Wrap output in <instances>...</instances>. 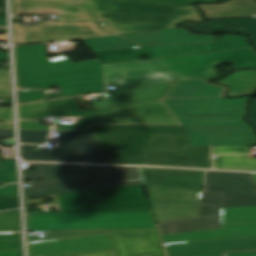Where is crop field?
I'll return each instance as SVG.
<instances>
[{
  "label": "crop field",
  "instance_id": "d9b57169",
  "mask_svg": "<svg viewBox=\"0 0 256 256\" xmlns=\"http://www.w3.org/2000/svg\"><path fill=\"white\" fill-rule=\"evenodd\" d=\"M205 81H176L164 98L223 97L222 93L226 90L225 87Z\"/></svg>",
  "mask_w": 256,
  "mask_h": 256
},
{
  "label": "crop field",
  "instance_id": "00972430",
  "mask_svg": "<svg viewBox=\"0 0 256 256\" xmlns=\"http://www.w3.org/2000/svg\"><path fill=\"white\" fill-rule=\"evenodd\" d=\"M133 1L165 4V5H173V6H187L195 2H210V1H221V0H133Z\"/></svg>",
  "mask_w": 256,
  "mask_h": 256
},
{
  "label": "crop field",
  "instance_id": "d8731c3e",
  "mask_svg": "<svg viewBox=\"0 0 256 256\" xmlns=\"http://www.w3.org/2000/svg\"><path fill=\"white\" fill-rule=\"evenodd\" d=\"M202 203L218 207L256 206L249 173L207 171Z\"/></svg>",
  "mask_w": 256,
  "mask_h": 256
},
{
  "label": "crop field",
  "instance_id": "bc2a9ffb",
  "mask_svg": "<svg viewBox=\"0 0 256 256\" xmlns=\"http://www.w3.org/2000/svg\"><path fill=\"white\" fill-rule=\"evenodd\" d=\"M83 40L92 51L138 46L119 36L87 38Z\"/></svg>",
  "mask_w": 256,
  "mask_h": 256
},
{
  "label": "crop field",
  "instance_id": "214f88e0",
  "mask_svg": "<svg viewBox=\"0 0 256 256\" xmlns=\"http://www.w3.org/2000/svg\"><path fill=\"white\" fill-rule=\"evenodd\" d=\"M213 162L215 168L256 170V159H249L248 155L217 156Z\"/></svg>",
  "mask_w": 256,
  "mask_h": 256
},
{
  "label": "crop field",
  "instance_id": "d1516ede",
  "mask_svg": "<svg viewBox=\"0 0 256 256\" xmlns=\"http://www.w3.org/2000/svg\"><path fill=\"white\" fill-rule=\"evenodd\" d=\"M120 36L133 40L139 45L214 42L212 36L190 34L188 30L182 28L121 34Z\"/></svg>",
  "mask_w": 256,
  "mask_h": 256
},
{
  "label": "crop field",
  "instance_id": "4177f3b9",
  "mask_svg": "<svg viewBox=\"0 0 256 256\" xmlns=\"http://www.w3.org/2000/svg\"><path fill=\"white\" fill-rule=\"evenodd\" d=\"M18 103L42 100L40 91H17Z\"/></svg>",
  "mask_w": 256,
  "mask_h": 256
},
{
  "label": "crop field",
  "instance_id": "34b2d1b8",
  "mask_svg": "<svg viewBox=\"0 0 256 256\" xmlns=\"http://www.w3.org/2000/svg\"><path fill=\"white\" fill-rule=\"evenodd\" d=\"M249 97L164 99L190 138L207 139L212 146L254 145L256 138L241 119Z\"/></svg>",
  "mask_w": 256,
  "mask_h": 256
},
{
  "label": "crop field",
  "instance_id": "dd49c442",
  "mask_svg": "<svg viewBox=\"0 0 256 256\" xmlns=\"http://www.w3.org/2000/svg\"><path fill=\"white\" fill-rule=\"evenodd\" d=\"M19 119L43 116H82L76 125H60L57 130H90L89 124H179L161 100L80 111L75 98L18 106Z\"/></svg>",
  "mask_w": 256,
  "mask_h": 256
},
{
  "label": "crop field",
  "instance_id": "ac0d7876",
  "mask_svg": "<svg viewBox=\"0 0 256 256\" xmlns=\"http://www.w3.org/2000/svg\"><path fill=\"white\" fill-rule=\"evenodd\" d=\"M107 163L212 168L210 147H187L179 125H90Z\"/></svg>",
  "mask_w": 256,
  "mask_h": 256
},
{
  "label": "crop field",
  "instance_id": "ae1a2a85",
  "mask_svg": "<svg viewBox=\"0 0 256 256\" xmlns=\"http://www.w3.org/2000/svg\"><path fill=\"white\" fill-rule=\"evenodd\" d=\"M70 256H117L116 250H105V251H97V252H88V253H81V254H73Z\"/></svg>",
  "mask_w": 256,
  "mask_h": 256
},
{
  "label": "crop field",
  "instance_id": "1d83c4d3",
  "mask_svg": "<svg viewBox=\"0 0 256 256\" xmlns=\"http://www.w3.org/2000/svg\"><path fill=\"white\" fill-rule=\"evenodd\" d=\"M0 138H13V131L0 130Z\"/></svg>",
  "mask_w": 256,
  "mask_h": 256
},
{
  "label": "crop field",
  "instance_id": "750c4746",
  "mask_svg": "<svg viewBox=\"0 0 256 256\" xmlns=\"http://www.w3.org/2000/svg\"><path fill=\"white\" fill-rule=\"evenodd\" d=\"M251 112L247 115V119L256 127V99L251 102Z\"/></svg>",
  "mask_w": 256,
  "mask_h": 256
},
{
  "label": "crop field",
  "instance_id": "dafd665d",
  "mask_svg": "<svg viewBox=\"0 0 256 256\" xmlns=\"http://www.w3.org/2000/svg\"><path fill=\"white\" fill-rule=\"evenodd\" d=\"M49 131H20V143L45 142Z\"/></svg>",
  "mask_w": 256,
  "mask_h": 256
},
{
  "label": "crop field",
  "instance_id": "3316defc",
  "mask_svg": "<svg viewBox=\"0 0 256 256\" xmlns=\"http://www.w3.org/2000/svg\"><path fill=\"white\" fill-rule=\"evenodd\" d=\"M146 187L156 222L199 217L201 191Z\"/></svg>",
  "mask_w": 256,
  "mask_h": 256
},
{
  "label": "crop field",
  "instance_id": "5142ce71",
  "mask_svg": "<svg viewBox=\"0 0 256 256\" xmlns=\"http://www.w3.org/2000/svg\"><path fill=\"white\" fill-rule=\"evenodd\" d=\"M182 26L191 27L198 33H244L249 35L253 44L256 45V18L209 21L206 24L185 23ZM237 27H241V29H237Z\"/></svg>",
  "mask_w": 256,
  "mask_h": 256
},
{
  "label": "crop field",
  "instance_id": "eef30255",
  "mask_svg": "<svg viewBox=\"0 0 256 256\" xmlns=\"http://www.w3.org/2000/svg\"><path fill=\"white\" fill-rule=\"evenodd\" d=\"M18 207V197H0V210Z\"/></svg>",
  "mask_w": 256,
  "mask_h": 256
},
{
  "label": "crop field",
  "instance_id": "cbeb9de0",
  "mask_svg": "<svg viewBox=\"0 0 256 256\" xmlns=\"http://www.w3.org/2000/svg\"><path fill=\"white\" fill-rule=\"evenodd\" d=\"M220 208L203 205L200 218L156 224L159 235L220 228Z\"/></svg>",
  "mask_w": 256,
  "mask_h": 256
},
{
  "label": "crop field",
  "instance_id": "a9b5d70f",
  "mask_svg": "<svg viewBox=\"0 0 256 256\" xmlns=\"http://www.w3.org/2000/svg\"><path fill=\"white\" fill-rule=\"evenodd\" d=\"M213 154H249L248 146L212 147Z\"/></svg>",
  "mask_w": 256,
  "mask_h": 256
},
{
  "label": "crop field",
  "instance_id": "d3111659",
  "mask_svg": "<svg viewBox=\"0 0 256 256\" xmlns=\"http://www.w3.org/2000/svg\"><path fill=\"white\" fill-rule=\"evenodd\" d=\"M0 196H17V184H10L1 188Z\"/></svg>",
  "mask_w": 256,
  "mask_h": 256
},
{
  "label": "crop field",
  "instance_id": "8a807250",
  "mask_svg": "<svg viewBox=\"0 0 256 256\" xmlns=\"http://www.w3.org/2000/svg\"><path fill=\"white\" fill-rule=\"evenodd\" d=\"M12 14H57L58 20H96L42 22L33 27L13 23L14 45L172 28L183 20L203 21L194 6L176 8L125 0H12Z\"/></svg>",
  "mask_w": 256,
  "mask_h": 256
},
{
  "label": "crop field",
  "instance_id": "120bbe31",
  "mask_svg": "<svg viewBox=\"0 0 256 256\" xmlns=\"http://www.w3.org/2000/svg\"><path fill=\"white\" fill-rule=\"evenodd\" d=\"M0 129L13 130L12 124H0Z\"/></svg>",
  "mask_w": 256,
  "mask_h": 256
},
{
  "label": "crop field",
  "instance_id": "733c2abd",
  "mask_svg": "<svg viewBox=\"0 0 256 256\" xmlns=\"http://www.w3.org/2000/svg\"><path fill=\"white\" fill-rule=\"evenodd\" d=\"M230 87L227 95L237 96L241 94H251L256 90V71L241 70L220 81Z\"/></svg>",
  "mask_w": 256,
  "mask_h": 256
},
{
  "label": "crop field",
  "instance_id": "28ad6ade",
  "mask_svg": "<svg viewBox=\"0 0 256 256\" xmlns=\"http://www.w3.org/2000/svg\"><path fill=\"white\" fill-rule=\"evenodd\" d=\"M118 256H165L156 229L110 230Z\"/></svg>",
  "mask_w": 256,
  "mask_h": 256
},
{
  "label": "crop field",
  "instance_id": "f4fd0767",
  "mask_svg": "<svg viewBox=\"0 0 256 256\" xmlns=\"http://www.w3.org/2000/svg\"><path fill=\"white\" fill-rule=\"evenodd\" d=\"M23 180L34 185L24 189V198L143 184L139 167L51 163H36V171H23Z\"/></svg>",
  "mask_w": 256,
  "mask_h": 256
},
{
  "label": "crop field",
  "instance_id": "4a817a6b",
  "mask_svg": "<svg viewBox=\"0 0 256 256\" xmlns=\"http://www.w3.org/2000/svg\"><path fill=\"white\" fill-rule=\"evenodd\" d=\"M175 80L162 72L147 75L124 76L104 79L107 86L114 85L116 89L139 85L153 84Z\"/></svg>",
  "mask_w": 256,
  "mask_h": 256
},
{
  "label": "crop field",
  "instance_id": "e52e79f7",
  "mask_svg": "<svg viewBox=\"0 0 256 256\" xmlns=\"http://www.w3.org/2000/svg\"><path fill=\"white\" fill-rule=\"evenodd\" d=\"M222 61H233L234 68H256V53L253 48L212 52L103 65V71L104 78L162 71L176 80L207 79L217 76L213 67Z\"/></svg>",
  "mask_w": 256,
  "mask_h": 256
},
{
  "label": "crop field",
  "instance_id": "92a150f3",
  "mask_svg": "<svg viewBox=\"0 0 256 256\" xmlns=\"http://www.w3.org/2000/svg\"><path fill=\"white\" fill-rule=\"evenodd\" d=\"M0 96L11 97L9 71L0 70ZM0 121L13 122L12 109L0 108Z\"/></svg>",
  "mask_w": 256,
  "mask_h": 256
},
{
  "label": "crop field",
  "instance_id": "bd1437ed",
  "mask_svg": "<svg viewBox=\"0 0 256 256\" xmlns=\"http://www.w3.org/2000/svg\"><path fill=\"white\" fill-rule=\"evenodd\" d=\"M188 146H210L209 142L204 139H189Z\"/></svg>",
  "mask_w": 256,
  "mask_h": 256
},
{
  "label": "crop field",
  "instance_id": "412701ff",
  "mask_svg": "<svg viewBox=\"0 0 256 256\" xmlns=\"http://www.w3.org/2000/svg\"><path fill=\"white\" fill-rule=\"evenodd\" d=\"M17 86H61L62 97L104 91L98 59L72 63L65 55L46 59L45 44L14 47Z\"/></svg>",
  "mask_w": 256,
  "mask_h": 256
},
{
  "label": "crop field",
  "instance_id": "22f410ed",
  "mask_svg": "<svg viewBox=\"0 0 256 256\" xmlns=\"http://www.w3.org/2000/svg\"><path fill=\"white\" fill-rule=\"evenodd\" d=\"M173 83L174 81L107 92V100L94 103L99 108L162 99Z\"/></svg>",
  "mask_w": 256,
  "mask_h": 256
},
{
  "label": "crop field",
  "instance_id": "d32e631a",
  "mask_svg": "<svg viewBox=\"0 0 256 256\" xmlns=\"http://www.w3.org/2000/svg\"><path fill=\"white\" fill-rule=\"evenodd\" d=\"M0 26H6L5 19H0Z\"/></svg>",
  "mask_w": 256,
  "mask_h": 256
},
{
  "label": "crop field",
  "instance_id": "5a996713",
  "mask_svg": "<svg viewBox=\"0 0 256 256\" xmlns=\"http://www.w3.org/2000/svg\"><path fill=\"white\" fill-rule=\"evenodd\" d=\"M20 150L25 160L106 163L91 131H59L57 150H34L30 145H20Z\"/></svg>",
  "mask_w": 256,
  "mask_h": 256
},
{
  "label": "crop field",
  "instance_id": "730fd06b",
  "mask_svg": "<svg viewBox=\"0 0 256 256\" xmlns=\"http://www.w3.org/2000/svg\"><path fill=\"white\" fill-rule=\"evenodd\" d=\"M20 130H49V126H41V121H19Z\"/></svg>",
  "mask_w": 256,
  "mask_h": 256
}]
</instances>
